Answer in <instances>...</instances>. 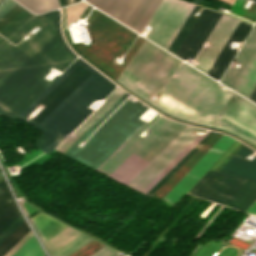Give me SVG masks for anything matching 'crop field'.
<instances>
[{"label":"crop field","instance_id":"1","mask_svg":"<svg viewBox=\"0 0 256 256\" xmlns=\"http://www.w3.org/2000/svg\"><path fill=\"white\" fill-rule=\"evenodd\" d=\"M59 10L33 15L7 39L13 44L36 25L41 29L16 47L0 44V115L16 118L57 77L43 79L54 67L63 71L76 58L62 39Z\"/></svg>","mask_w":256,"mask_h":256},{"label":"crop field","instance_id":"2","mask_svg":"<svg viewBox=\"0 0 256 256\" xmlns=\"http://www.w3.org/2000/svg\"><path fill=\"white\" fill-rule=\"evenodd\" d=\"M217 84L181 64L153 105L181 120L210 126L232 95L220 90Z\"/></svg>","mask_w":256,"mask_h":256},{"label":"crop field","instance_id":"3","mask_svg":"<svg viewBox=\"0 0 256 256\" xmlns=\"http://www.w3.org/2000/svg\"><path fill=\"white\" fill-rule=\"evenodd\" d=\"M129 95L126 93L109 108L64 154L86 166L96 169L118 146H120L142 123L138 118L149 108L129 97L88 139L85 140Z\"/></svg>","mask_w":256,"mask_h":256},{"label":"crop field","instance_id":"4","mask_svg":"<svg viewBox=\"0 0 256 256\" xmlns=\"http://www.w3.org/2000/svg\"><path fill=\"white\" fill-rule=\"evenodd\" d=\"M149 126L144 122L96 171L127 186L188 127L159 117L147 130L149 134L138 139Z\"/></svg>","mask_w":256,"mask_h":256},{"label":"crop field","instance_id":"5","mask_svg":"<svg viewBox=\"0 0 256 256\" xmlns=\"http://www.w3.org/2000/svg\"><path fill=\"white\" fill-rule=\"evenodd\" d=\"M180 61L146 40L117 81L153 104L150 97L163 87Z\"/></svg>","mask_w":256,"mask_h":256},{"label":"crop field","instance_id":"6","mask_svg":"<svg viewBox=\"0 0 256 256\" xmlns=\"http://www.w3.org/2000/svg\"><path fill=\"white\" fill-rule=\"evenodd\" d=\"M114 88V84L98 73L40 129L44 133L34 145L49 154L92 112L86 107L94 100L106 97Z\"/></svg>","mask_w":256,"mask_h":256},{"label":"crop field","instance_id":"7","mask_svg":"<svg viewBox=\"0 0 256 256\" xmlns=\"http://www.w3.org/2000/svg\"><path fill=\"white\" fill-rule=\"evenodd\" d=\"M97 73L78 58L19 118L26 121L37 105L40 103L47 105L38 115L27 121L40 129Z\"/></svg>","mask_w":256,"mask_h":256},{"label":"crop field","instance_id":"8","mask_svg":"<svg viewBox=\"0 0 256 256\" xmlns=\"http://www.w3.org/2000/svg\"><path fill=\"white\" fill-rule=\"evenodd\" d=\"M211 127L236 134L256 147V106L233 93Z\"/></svg>","mask_w":256,"mask_h":256},{"label":"crop field","instance_id":"9","mask_svg":"<svg viewBox=\"0 0 256 256\" xmlns=\"http://www.w3.org/2000/svg\"><path fill=\"white\" fill-rule=\"evenodd\" d=\"M194 5L181 0H163L148 22L153 28L147 37L168 49Z\"/></svg>","mask_w":256,"mask_h":256},{"label":"crop field","instance_id":"10","mask_svg":"<svg viewBox=\"0 0 256 256\" xmlns=\"http://www.w3.org/2000/svg\"><path fill=\"white\" fill-rule=\"evenodd\" d=\"M91 4L140 32L162 0H88Z\"/></svg>","mask_w":256,"mask_h":256},{"label":"crop field","instance_id":"11","mask_svg":"<svg viewBox=\"0 0 256 256\" xmlns=\"http://www.w3.org/2000/svg\"><path fill=\"white\" fill-rule=\"evenodd\" d=\"M231 138V137H230ZM222 136L187 175L172 189L165 199L177 203L200 180L220 156L230 147L234 140Z\"/></svg>","mask_w":256,"mask_h":256},{"label":"crop field","instance_id":"12","mask_svg":"<svg viewBox=\"0 0 256 256\" xmlns=\"http://www.w3.org/2000/svg\"><path fill=\"white\" fill-rule=\"evenodd\" d=\"M245 181L209 170L190 193L225 205Z\"/></svg>","mask_w":256,"mask_h":256},{"label":"crop field","instance_id":"13","mask_svg":"<svg viewBox=\"0 0 256 256\" xmlns=\"http://www.w3.org/2000/svg\"><path fill=\"white\" fill-rule=\"evenodd\" d=\"M201 130L189 126L175 141H173L143 172H141L128 187L141 192L197 135L192 130Z\"/></svg>","mask_w":256,"mask_h":256},{"label":"crop field","instance_id":"14","mask_svg":"<svg viewBox=\"0 0 256 256\" xmlns=\"http://www.w3.org/2000/svg\"><path fill=\"white\" fill-rule=\"evenodd\" d=\"M238 23L239 20L222 14L194 59L199 62L197 68L207 73Z\"/></svg>","mask_w":256,"mask_h":256},{"label":"crop field","instance_id":"15","mask_svg":"<svg viewBox=\"0 0 256 256\" xmlns=\"http://www.w3.org/2000/svg\"><path fill=\"white\" fill-rule=\"evenodd\" d=\"M220 16L221 14L210 9H203L174 55L181 59L186 56L193 61Z\"/></svg>","mask_w":256,"mask_h":256},{"label":"crop field","instance_id":"16","mask_svg":"<svg viewBox=\"0 0 256 256\" xmlns=\"http://www.w3.org/2000/svg\"><path fill=\"white\" fill-rule=\"evenodd\" d=\"M256 55V29L252 31L234 61L242 64V68H237L231 64L227 72L223 76L221 83L235 90L247 68L251 64Z\"/></svg>","mask_w":256,"mask_h":256},{"label":"crop field","instance_id":"17","mask_svg":"<svg viewBox=\"0 0 256 256\" xmlns=\"http://www.w3.org/2000/svg\"><path fill=\"white\" fill-rule=\"evenodd\" d=\"M91 240L93 239L68 227L44 245L51 256H69Z\"/></svg>","mask_w":256,"mask_h":256},{"label":"crop field","instance_id":"18","mask_svg":"<svg viewBox=\"0 0 256 256\" xmlns=\"http://www.w3.org/2000/svg\"><path fill=\"white\" fill-rule=\"evenodd\" d=\"M251 28L252 26H250L249 24L240 21L237 28L229 38L228 42L220 52L219 56L217 57L207 74L218 80L221 78L222 74L226 70L227 66L229 65L237 51L236 48L235 50H231L229 46L230 42H243L248 33L250 32Z\"/></svg>","mask_w":256,"mask_h":256},{"label":"crop field","instance_id":"19","mask_svg":"<svg viewBox=\"0 0 256 256\" xmlns=\"http://www.w3.org/2000/svg\"><path fill=\"white\" fill-rule=\"evenodd\" d=\"M253 152L243 145L220 172L256 181V156L252 161L245 159Z\"/></svg>","mask_w":256,"mask_h":256},{"label":"crop field","instance_id":"20","mask_svg":"<svg viewBox=\"0 0 256 256\" xmlns=\"http://www.w3.org/2000/svg\"><path fill=\"white\" fill-rule=\"evenodd\" d=\"M125 92L118 87L107 97L106 101L96 111L92 112L74 131V137L69 141L65 138L55 150L63 153L77 138H79L109 107H111Z\"/></svg>","mask_w":256,"mask_h":256},{"label":"crop field","instance_id":"21","mask_svg":"<svg viewBox=\"0 0 256 256\" xmlns=\"http://www.w3.org/2000/svg\"><path fill=\"white\" fill-rule=\"evenodd\" d=\"M32 15L18 4L13 6L0 18V33L7 38Z\"/></svg>","mask_w":256,"mask_h":256},{"label":"crop field","instance_id":"22","mask_svg":"<svg viewBox=\"0 0 256 256\" xmlns=\"http://www.w3.org/2000/svg\"><path fill=\"white\" fill-rule=\"evenodd\" d=\"M35 222L37 223L39 229L41 230L42 234L44 235L46 241L58 234L60 231L65 229L66 225L56 221L55 219L51 218L50 216L40 212L39 214L35 215L34 217ZM33 218L29 219L32 226L34 227L35 231L39 235L43 244L46 242L44 237L42 236L40 230L38 229L37 225L35 224Z\"/></svg>","mask_w":256,"mask_h":256},{"label":"crop field","instance_id":"23","mask_svg":"<svg viewBox=\"0 0 256 256\" xmlns=\"http://www.w3.org/2000/svg\"><path fill=\"white\" fill-rule=\"evenodd\" d=\"M256 200V182L247 180L228 202L233 208L245 212Z\"/></svg>","mask_w":256,"mask_h":256},{"label":"crop field","instance_id":"24","mask_svg":"<svg viewBox=\"0 0 256 256\" xmlns=\"http://www.w3.org/2000/svg\"><path fill=\"white\" fill-rule=\"evenodd\" d=\"M25 221L0 244V256H5L29 232Z\"/></svg>","mask_w":256,"mask_h":256},{"label":"crop field","instance_id":"25","mask_svg":"<svg viewBox=\"0 0 256 256\" xmlns=\"http://www.w3.org/2000/svg\"><path fill=\"white\" fill-rule=\"evenodd\" d=\"M256 87V58L244 75L235 91L249 98L252 91Z\"/></svg>","mask_w":256,"mask_h":256},{"label":"crop field","instance_id":"26","mask_svg":"<svg viewBox=\"0 0 256 256\" xmlns=\"http://www.w3.org/2000/svg\"><path fill=\"white\" fill-rule=\"evenodd\" d=\"M210 132V131H209ZM207 132V134L209 133ZM206 134V135H207ZM206 135L198 136L188 145L143 191L146 194L161 178H163L193 147H195Z\"/></svg>","mask_w":256,"mask_h":256},{"label":"crop field","instance_id":"27","mask_svg":"<svg viewBox=\"0 0 256 256\" xmlns=\"http://www.w3.org/2000/svg\"><path fill=\"white\" fill-rule=\"evenodd\" d=\"M21 4L23 3L26 8L35 13H40L46 10H50L59 7L58 0H17Z\"/></svg>","mask_w":256,"mask_h":256},{"label":"crop field","instance_id":"28","mask_svg":"<svg viewBox=\"0 0 256 256\" xmlns=\"http://www.w3.org/2000/svg\"><path fill=\"white\" fill-rule=\"evenodd\" d=\"M12 256H45L34 235Z\"/></svg>","mask_w":256,"mask_h":256},{"label":"crop field","instance_id":"29","mask_svg":"<svg viewBox=\"0 0 256 256\" xmlns=\"http://www.w3.org/2000/svg\"><path fill=\"white\" fill-rule=\"evenodd\" d=\"M198 8H199V6L195 5L194 9L190 13L189 17L185 21V23L182 26V28L180 29L179 33L175 37L174 41L170 45L168 50H170L173 54L176 51V49L178 48V46L181 43V41L183 40V38L185 37V35L187 34L188 30L190 29V27L192 26L194 21L196 20V18L193 17L192 14L195 13L198 10Z\"/></svg>","mask_w":256,"mask_h":256},{"label":"crop field","instance_id":"30","mask_svg":"<svg viewBox=\"0 0 256 256\" xmlns=\"http://www.w3.org/2000/svg\"><path fill=\"white\" fill-rule=\"evenodd\" d=\"M210 132L195 148H193L163 179H161L148 193L151 196L211 135Z\"/></svg>","mask_w":256,"mask_h":256},{"label":"crop field","instance_id":"31","mask_svg":"<svg viewBox=\"0 0 256 256\" xmlns=\"http://www.w3.org/2000/svg\"><path fill=\"white\" fill-rule=\"evenodd\" d=\"M20 215L15 203H13L2 215H0V233ZM9 227V226H8Z\"/></svg>","mask_w":256,"mask_h":256},{"label":"crop field","instance_id":"32","mask_svg":"<svg viewBox=\"0 0 256 256\" xmlns=\"http://www.w3.org/2000/svg\"><path fill=\"white\" fill-rule=\"evenodd\" d=\"M14 202L11 193L4 181L0 182V214H2Z\"/></svg>","mask_w":256,"mask_h":256},{"label":"crop field","instance_id":"33","mask_svg":"<svg viewBox=\"0 0 256 256\" xmlns=\"http://www.w3.org/2000/svg\"><path fill=\"white\" fill-rule=\"evenodd\" d=\"M23 218L21 215L0 234V243L12 232L14 231L22 222Z\"/></svg>","mask_w":256,"mask_h":256},{"label":"crop field","instance_id":"34","mask_svg":"<svg viewBox=\"0 0 256 256\" xmlns=\"http://www.w3.org/2000/svg\"><path fill=\"white\" fill-rule=\"evenodd\" d=\"M116 253H118V252H116V251H114V250L105 246V247L101 248L100 250H98V252L94 253L91 256H113Z\"/></svg>","mask_w":256,"mask_h":256},{"label":"crop field","instance_id":"35","mask_svg":"<svg viewBox=\"0 0 256 256\" xmlns=\"http://www.w3.org/2000/svg\"><path fill=\"white\" fill-rule=\"evenodd\" d=\"M17 3H15L14 1L12 0H7L5 3H3L1 6H0V17L6 12L8 11L13 5H15Z\"/></svg>","mask_w":256,"mask_h":256},{"label":"crop field","instance_id":"36","mask_svg":"<svg viewBox=\"0 0 256 256\" xmlns=\"http://www.w3.org/2000/svg\"><path fill=\"white\" fill-rule=\"evenodd\" d=\"M33 235L30 232L22 241H20L6 256H11L23 243H25Z\"/></svg>","mask_w":256,"mask_h":256},{"label":"crop field","instance_id":"37","mask_svg":"<svg viewBox=\"0 0 256 256\" xmlns=\"http://www.w3.org/2000/svg\"><path fill=\"white\" fill-rule=\"evenodd\" d=\"M247 212H250L252 214L256 215V202L252 204V206L247 210Z\"/></svg>","mask_w":256,"mask_h":256},{"label":"crop field","instance_id":"38","mask_svg":"<svg viewBox=\"0 0 256 256\" xmlns=\"http://www.w3.org/2000/svg\"><path fill=\"white\" fill-rule=\"evenodd\" d=\"M64 5H67V4H71V3H74V2H77V1H80V0H62Z\"/></svg>","mask_w":256,"mask_h":256},{"label":"crop field","instance_id":"39","mask_svg":"<svg viewBox=\"0 0 256 256\" xmlns=\"http://www.w3.org/2000/svg\"><path fill=\"white\" fill-rule=\"evenodd\" d=\"M249 99H251V100L256 102V88H255L254 92L252 93V95H251V97Z\"/></svg>","mask_w":256,"mask_h":256},{"label":"crop field","instance_id":"40","mask_svg":"<svg viewBox=\"0 0 256 256\" xmlns=\"http://www.w3.org/2000/svg\"><path fill=\"white\" fill-rule=\"evenodd\" d=\"M5 39H3L1 36H0V43H2Z\"/></svg>","mask_w":256,"mask_h":256},{"label":"crop field","instance_id":"41","mask_svg":"<svg viewBox=\"0 0 256 256\" xmlns=\"http://www.w3.org/2000/svg\"><path fill=\"white\" fill-rule=\"evenodd\" d=\"M3 179L2 175H1V172H0V181Z\"/></svg>","mask_w":256,"mask_h":256},{"label":"crop field","instance_id":"42","mask_svg":"<svg viewBox=\"0 0 256 256\" xmlns=\"http://www.w3.org/2000/svg\"><path fill=\"white\" fill-rule=\"evenodd\" d=\"M3 0L0 1V3L2 2Z\"/></svg>","mask_w":256,"mask_h":256},{"label":"crop field","instance_id":"43","mask_svg":"<svg viewBox=\"0 0 256 256\" xmlns=\"http://www.w3.org/2000/svg\"><path fill=\"white\" fill-rule=\"evenodd\" d=\"M254 1H256V0H254Z\"/></svg>","mask_w":256,"mask_h":256}]
</instances>
